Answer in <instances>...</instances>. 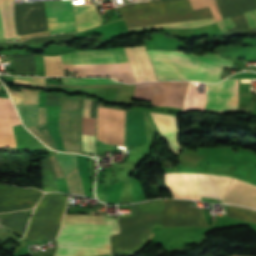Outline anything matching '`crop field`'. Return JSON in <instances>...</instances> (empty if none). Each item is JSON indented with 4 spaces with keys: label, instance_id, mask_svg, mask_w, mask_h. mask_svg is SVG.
Listing matches in <instances>:
<instances>
[{
    "label": "crop field",
    "instance_id": "obj_25",
    "mask_svg": "<svg viewBox=\"0 0 256 256\" xmlns=\"http://www.w3.org/2000/svg\"><path fill=\"white\" fill-rule=\"evenodd\" d=\"M28 129L35 136H37L39 139H41L43 142H45L50 148H52L54 150H57L55 145H54V143H53V141H52L51 135L49 133V130H48V127H47L46 124L28 127Z\"/></svg>",
    "mask_w": 256,
    "mask_h": 256
},
{
    "label": "crop field",
    "instance_id": "obj_18",
    "mask_svg": "<svg viewBox=\"0 0 256 256\" xmlns=\"http://www.w3.org/2000/svg\"><path fill=\"white\" fill-rule=\"evenodd\" d=\"M73 8L77 32L101 25L99 14L93 4L75 5Z\"/></svg>",
    "mask_w": 256,
    "mask_h": 256
},
{
    "label": "crop field",
    "instance_id": "obj_24",
    "mask_svg": "<svg viewBox=\"0 0 256 256\" xmlns=\"http://www.w3.org/2000/svg\"><path fill=\"white\" fill-rule=\"evenodd\" d=\"M66 182L70 193L85 196L77 168L70 172L68 175H66Z\"/></svg>",
    "mask_w": 256,
    "mask_h": 256
},
{
    "label": "crop field",
    "instance_id": "obj_8",
    "mask_svg": "<svg viewBox=\"0 0 256 256\" xmlns=\"http://www.w3.org/2000/svg\"><path fill=\"white\" fill-rule=\"evenodd\" d=\"M67 202L66 196L46 194L37 205L25 238L30 240L53 239L59 231Z\"/></svg>",
    "mask_w": 256,
    "mask_h": 256
},
{
    "label": "crop field",
    "instance_id": "obj_27",
    "mask_svg": "<svg viewBox=\"0 0 256 256\" xmlns=\"http://www.w3.org/2000/svg\"><path fill=\"white\" fill-rule=\"evenodd\" d=\"M15 104H38L39 92L10 93Z\"/></svg>",
    "mask_w": 256,
    "mask_h": 256
},
{
    "label": "crop field",
    "instance_id": "obj_29",
    "mask_svg": "<svg viewBox=\"0 0 256 256\" xmlns=\"http://www.w3.org/2000/svg\"><path fill=\"white\" fill-rule=\"evenodd\" d=\"M190 56H193V57H195V58H197L201 61L212 63V64L219 65V66H222V67L231 68L232 64H233L232 61L222 59V58H220L221 56H218L216 54L207 53V54H205L201 57H196L194 55H190Z\"/></svg>",
    "mask_w": 256,
    "mask_h": 256
},
{
    "label": "crop field",
    "instance_id": "obj_34",
    "mask_svg": "<svg viewBox=\"0 0 256 256\" xmlns=\"http://www.w3.org/2000/svg\"><path fill=\"white\" fill-rule=\"evenodd\" d=\"M46 123L45 108H39L38 124Z\"/></svg>",
    "mask_w": 256,
    "mask_h": 256
},
{
    "label": "crop field",
    "instance_id": "obj_19",
    "mask_svg": "<svg viewBox=\"0 0 256 256\" xmlns=\"http://www.w3.org/2000/svg\"><path fill=\"white\" fill-rule=\"evenodd\" d=\"M91 100L85 99L83 107V115L90 114ZM82 119V133L95 135V120L84 117ZM82 134L83 151L96 153L95 136Z\"/></svg>",
    "mask_w": 256,
    "mask_h": 256
},
{
    "label": "crop field",
    "instance_id": "obj_31",
    "mask_svg": "<svg viewBox=\"0 0 256 256\" xmlns=\"http://www.w3.org/2000/svg\"><path fill=\"white\" fill-rule=\"evenodd\" d=\"M244 15L247 20L249 28H255L256 27V10L245 13Z\"/></svg>",
    "mask_w": 256,
    "mask_h": 256
},
{
    "label": "crop field",
    "instance_id": "obj_5",
    "mask_svg": "<svg viewBox=\"0 0 256 256\" xmlns=\"http://www.w3.org/2000/svg\"><path fill=\"white\" fill-rule=\"evenodd\" d=\"M155 67L158 80H197L218 82L221 67L200 62L182 52L147 51Z\"/></svg>",
    "mask_w": 256,
    "mask_h": 256
},
{
    "label": "crop field",
    "instance_id": "obj_30",
    "mask_svg": "<svg viewBox=\"0 0 256 256\" xmlns=\"http://www.w3.org/2000/svg\"><path fill=\"white\" fill-rule=\"evenodd\" d=\"M13 83L44 87V80L14 77Z\"/></svg>",
    "mask_w": 256,
    "mask_h": 256
},
{
    "label": "crop field",
    "instance_id": "obj_23",
    "mask_svg": "<svg viewBox=\"0 0 256 256\" xmlns=\"http://www.w3.org/2000/svg\"><path fill=\"white\" fill-rule=\"evenodd\" d=\"M189 3L192 10L209 7L216 22L223 20L215 0H189Z\"/></svg>",
    "mask_w": 256,
    "mask_h": 256
},
{
    "label": "crop field",
    "instance_id": "obj_12",
    "mask_svg": "<svg viewBox=\"0 0 256 256\" xmlns=\"http://www.w3.org/2000/svg\"><path fill=\"white\" fill-rule=\"evenodd\" d=\"M43 193L0 184V213L33 208Z\"/></svg>",
    "mask_w": 256,
    "mask_h": 256
},
{
    "label": "crop field",
    "instance_id": "obj_17",
    "mask_svg": "<svg viewBox=\"0 0 256 256\" xmlns=\"http://www.w3.org/2000/svg\"><path fill=\"white\" fill-rule=\"evenodd\" d=\"M151 115L161 135L165 138L168 146L176 156L178 152L182 149V147L178 143L180 132L177 126L176 117L154 113H151Z\"/></svg>",
    "mask_w": 256,
    "mask_h": 256
},
{
    "label": "crop field",
    "instance_id": "obj_28",
    "mask_svg": "<svg viewBox=\"0 0 256 256\" xmlns=\"http://www.w3.org/2000/svg\"><path fill=\"white\" fill-rule=\"evenodd\" d=\"M64 84H120L109 79L62 78Z\"/></svg>",
    "mask_w": 256,
    "mask_h": 256
},
{
    "label": "crop field",
    "instance_id": "obj_9",
    "mask_svg": "<svg viewBox=\"0 0 256 256\" xmlns=\"http://www.w3.org/2000/svg\"><path fill=\"white\" fill-rule=\"evenodd\" d=\"M84 98H67L62 95L60 107V135L68 152L82 154L80 123Z\"/></svg>",
    "mask_w": 256,
    "mask_h": 256
},
{
    "label": "crop field",
    "instance_id": "obj_11",
    "mask_svg": "<svg viewBox=\"0 0 256 256\" xmlns=\"http://www.w3.org/2000/svg\"><path fill=\"white\" fill-rule=\"evenodd\" d=\"M97 139L124 145V111L98 107Z\"/></svg>",
    "mask_w": 256,
    "mask_h": 256
},
{
    "label": "crop field",
    "instance_id": "obj_35",
    "mask_svg": "<svg viewBox=\"0 0 256 256\" xmlns=\"http://www.w3.org/2000/svg\"><path fill=\"white\" fill-rule=\"evenodd\" d=\"M0 38H3L2 29H1V22H0Z\"/></svg>",
    "mask_w": 256,
    "mask_h": 256
},
{
    "label": "crop field",
    "instance_id": "obj_6",
    "mask_svg": "<svg viewBox=\"0 0 256 256\" xmlns=\"http://www.w3.org/2000/svg\"><path fill=\"white\" fill-rule=\"evenodd\" d=\"M232 177L213 174H165L166 184L173 197L198 199L199 195L223 199Z\"/></svg>",
    "mask_w": 256,
    "mask_h": 256
},
{
    "label": "crop field",
    "instance_id": "obj_21",
    "mask_svg": "<svg viewBox=\"0 0 256 256\" xmlns=\"http://www.w3.org/2000/svg\"><path fill=\"white\" fill-rule=\"evenodd\" d=\"M26 127L37 124L38 105H15Z\"/></svg>",
    "mask_w": 256,
    "mask_h": 256
},
{
    "label": "crop field",
    "instance_id": "obj_14",
    "mask_svg": "<svg viewBox=\"0 0 256 256\" xmlns=\"http://www.w3.org/2000/svg\"><path fill=\"white\" fill-rule=\"evenodd\" d=\"M21 124L11 102L0 98V146L16 147L12 126Z\"/></svg>",
    "mask_w": 256,
    "mask_h": 256
},
{
    "label": "crop field",
    "instance_id": "obj_3",
    "mask_svg": "<svg viewBox=\"0 0 256 256\" xmlns=\"http://www.w3.org/2000/svg\"><path fill=\"white\" fill-rule=\"evenodd\" d=\"M162 199L130 205L131 214L119 215L121 233L111 237L112 255L140 249L154 226L163 225Z\"/></svg>",
    "mask_w": 256,
    "mask_h": 256
},
{
    "label": "crop field",
    "instance_id": "obj_10",
    "mask_svg": "<svg viewBox=\"0 0 256 256\" xmlns=\"http://www.w3.org/2000/svg\"><path fill=\"white\" fill-rule=\"evenodd\" d=\"M15 23L17 36L48 30L43 2L15 4Z\"/></svg>",
    "mask_w": 256,
    "mask_h": 256
},
{
    "label": "crop field",
    "instance_id": "obj_4",
    "mask_svg": "<svg viewBox=\"0 0 256 256\" xmlns=\"http://www.w3.org/2000/svg\"><path fill=\"white\" fill-rule=\"evenodd\" d=\"M64 65L128 63L123 47L106 50H77L62 55ZM77 76H109L126 83H134L128 64L65 66Z\"/></svg>",
    "mask_w": 256,
    "mask_h": 256
},
{
    "label": "crop field",
    "instance_id": "obj_7",
    "mask_svg": "<svg viewBox=\"0 0 256 256\" xmlns=\"http://www.w3.org/2000/svg\"><path fill=\"white\" fill-rule=\"evenodd\" d=\"M237 80H224L218 84L206 85V94H197V89L189 83L184 98V109H202L218 113L236 112Z\"/></svg>",
    "mask_w": 256,
    "mask_h": 256
},
{
    "label": "crop field",
    "instance_id": "obj_2",
    "mask_svg": "<svg viewBox=\"0 0 256 256\" xmlns=\"http://www.w3.org/2000/svg\"><path fill=\"white\" fill-rule=\"evenodd\" d=\"M119 10L127 27L211 17L207 8L191 11L188 0L140 2L129 4ZM210 23H214L212 18L132 27L128 30L156 27H198Z\"/></svg>",
    "mask_w": 256,
    "mask_h": 256
},
{
    "label": "crop field",
    "instance_id": "obj_1",
    "mask_svg": "<svg viewBox=\"0 0 256 256\" xmlns=\"http://www.w3.org/2000/svg\"><path fill=\"white\" fill-rule=\"evenodd\" d=\"M119 233L115 218L65 214L54 256L110 253L109 236Z\"/></svg>",
    "mask_w": 256,
    "mask_h": 256
},
{
    "label": "crop field",
    "instance_id": "obj_26",
    "mask_svg": "<svg viewBox=\"0 0 256 256\" xmlns=\"http://www.w3.org/2000/svg\"><path fill=\"white\" fill-rule=\"evenodd\" d=\"M55 156L65 175L77 167L76 155L58 153Z\"/></svg>",
    "mask_w": 256,
    "mask_h": 256
},
{
    "label": "crop field",
    "instance_id": "obj_16",
    "mask_svg": "<svg viewBox=\"0 0 256 256\" xmlns=\"http://www.w3.org/2000/svg\"><path fill=\"white\" fill-rule=\"evenodd\" d=\"M222 203H233L256 209V186L233 178Z\"/></svg>",
    "mask_w": 256,
    "mask_h": 256
},
{
    "label": "crop field",
    "instance_id": "obj_15",
    "mask_svg": "<svg viewBox=\"0 0 256 256\" xmlns=\"http://www.w3.org/2000/svg\"><path fill=\"white\" fill-rule=\"evenodd\" d=\"M136 82L156 80L145 47L125 48Z\"/></svg>",
    "mask_w": 256,
    "mask_h": 256
},
{
    "label": "crop field",
    "instance_id": "obj_33",
    "mask_svg": "<svg viewBox=\"0 0 256 256\" xmlns=\"http://www.w3.org/2000/svg\"><path fill=\"white\" fill-rule=\"evenodd\" d=\"M50 160H51V162L53 164V167H54V170H55V173H56V177L57 178L64 177V175H63V173H62V171H61V169H60V167H59L55 157L54 156L50 157Z\"/></svg>",
    "mask_w": 256,
    "mask_h": 256
},
{
    "label": "crop field",
    "instance_id": "obj_13",
    "mask_svg": "<svg viewBox=\"0 0 256 256\" xmlns=\"http://www.w3.org/2000/svg\"><path fill=\"white\" fill-rule=\"evenodd\" d=\"M49 30L75 25L71 0L44 2Z\"/></svg>",
    "mask_w": 256,
    "mask_h": 256
},
{
    "label": "crop field",
    "instance_id": "obj_20",
    "mask_svg": "<svg viewBox=\"0 0 256 256\" xmlns=\"http://www.w3.org/2000/svg\"><path fill=\"white\" fill-rule=\"evenodd\" d=\"M41 162L44 174V191H58L56 177L49 159H43Z\"/></svg>",
    "mask_w": 256,
    "mask_h": 256
},
{
    "label": "crop field",
    "instance_id": "obj_32",
    "mask_svg": "<svg viewBox=\"0 0 256 256\" xmlns=\"http://www.w3.org/2000/svg\"><path fill=\"white\" fill-rule=\"evenodd\" d=\"M218 25H219V27L221 28L222 31H226V30L231 29L232 27L235 26L233 21L231 20V18L219 22Z\"/></svg>",
    "mask_w": 256,
    "mask_h": 256
},
{
    "label": "crop field",
    "instance_id": "obj_22",
    "mask_svg": "<svg viewBox=\"0 0 256 256\" xmlns=\"http://www.w3.org/2000/svg\"><path fill=\"white\" fill-rule=\"evenodd\" d=\"M46 76H61L63 74L61 55L54 57L44 56Z\"/></svg>",
    "mask_w": 256,
    "mask_h": 256
}]
</instances>
